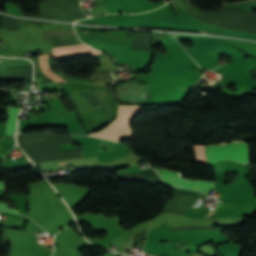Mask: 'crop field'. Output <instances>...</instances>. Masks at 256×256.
I'll return each mask as SVG.
<instances>
[{
  "mask_svg": "<svg viewBox=\"0 0 256 256\" xmlns=\"http://www.w3.org/2000/svg\"><path fill=\"white\" fill-rule=\"evenodd\" d=\"M173 37L179 42V40H191L192 46L188 49L200 50V51H207L213 53L223 54L227 43L224 41L213 38V37H204V36H191V35H180V34H173ZM180 43V42H179ZM183 47V45L180 43ZM225 55L231 54L229 63L213 70L219 72L226 77L236 75L239 73L247 72L253 68H256V61L249 57V60L246 61L243 58L246 56L239 50L233 48L231 45L228 44L225 52ZM229 81L233 83L234 81L228 77Z\"/></svg>",
  "mask_w": 256,
  "mask_h": 256,
  "instance_id": "1",
  "label": "crop field"
},
{
  "mask_svg": "<svg viewBox=\"0 0 256 256\" xmlns=\"http://www.w3.org/2000/svg\"><path fill=\"white\" fill-rule=\"evenodd\" d=\"M140 107L135 106H119L118 114H139ZM136 115H118V118L114 121H126L132 120ZM127 122H117L111 123L103 131L95 134H90V136H95L107 140L121 141L124 139H130L133 137V132L128 126Z\"/></svg>",
  "mask_w": 256,
  "mask_h": 256,
  "instance_id": "2",
  "label": "crop field"
},
{
  "mask_svg": "<svg viewBox=\"0 0 256 256\" xmlns=\"http://www.w3.org/2000/svg\"><path fill=\"white\" fill-rule=\"evenodd\" d=\"M206 152L210 165L218 161L228 159H232L240 163H247L246 144L207 147Z\"/></svg>",
  "mask_w": 256,
  "mask_h": 256,
  "instance_id": "3",
  "label": "crop field"
},
{
  "mask_svg": "<svg viewBox=\"0 0 256 256\" xmlns=\"http://www.w3.org/2000/svg\"><path fill=\"white\" fill-rule=\"evenodd\" d=\"M51 47L53 48L52 56L56 61L61 59L74 58L81 55L100 54V52L85 46L82 42L54 45Z\"/></svg>",
  "mask_w": 256,
  "mask_h": 256,
  "instance_id": "4",
  "label": "crop field"
},
{
  "mask_svg": "<svg viewBox=\"0 0 256 256\" xmlns=\"http://www.w3.org/2000/svg\"><path fill=\"white\" fill-rule=\"evenodd\" d=\"M155 170H156V172H159V173L179 176V173H177V172L163 170V169H159V168H155ZM159 175L165 182H167L173 186L199 190L206 194L209 192L210 189H213V185H214V183H205V182H201V181H189V180H184L182 178H177V177H173V176H168V175H163V174H159Z\"/></svg>",
  "mask_w": 256,
  "mask_h": 256,
  "instance_id": "5",
  "label": "crop field"
},
{
  "mask_svg": "<svg viewBox=\"0 0 256 256\" xmlns=\"http://www.w3.org/2000/svg\"><path fill=\"white\" fill-rule=\"evenodd\" d=\"M20 109L9 108L6 134H15L16 117Z\"/></svg>",
  "mask_w": 256,
  "mask_h": 256,
  "instance_id": "6",
  "label": "crop field"
},
{
  "mask_svg": "<svg viewBox=\"0 0 256 256\" xmlns=\"http://www.w3.org/2000/svg\"><path fill=\"white\" fill-rule=\"evenodd\" d=\"M47 56H49V55L39 56L46 79H47V82L53 83V82H57V81H63L59 76L52 74L53 72L51 73V71L47 65V62H46Z\"/></svg>",
  "mask_w": 256,
  "mask_h": 256,
  "instance_id": "7",
  "label": "crop field"
},
{
  "mask_svg": "<svg viewBox=\"0 0 256 256\" xmlns=\"http://www.w3.org/2000/svg\"><path fill=\"white\" fill-rule=\"evenodd\" d=\"M197 150L198 160L200 163L208 164L205 156V147L195 146Z\"/></svg>",
  "mask_w": 256,
  "mask_h": 256,
  "instance_id": "8",
  "label": "crop field"
},
{
  "mask_svg": "<svg viewBox=\"0 0 256 256\" xmlns=\"http://www.w3.org/2000/svg\"><path fill=\"white\" fill-rule=\"evenodd\" d=\"M9 205L8 204H1L0 203V210H9V211H14V212H18V210H13V209H10L8 208ZM19 213V212H18Z\"/></svg>",
  "mask_w": 256,
  "mask_h": 256,
  "instance_id": "9",
  "label": "crop field"
},
{
  "mask_svg": "<svg viewBox=\"0 0 256 256\" xmlns=\"http://www.w3.org/2000/svg\"><path fill=\"white\" fill-rule=\"evenodd\" d=\"M0 189H4V182H0Z\"/></svg>",
  "mask_w": 256,
  "mask_h": 256,
  "instance_id": "10",
  "label": "crop field"
}]
</instances>
